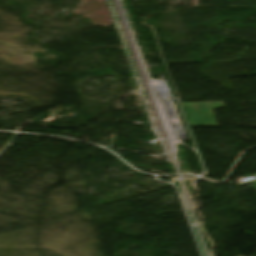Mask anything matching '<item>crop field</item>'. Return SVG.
Masks as SVG:
<instances>
[{
  "instance_id": "8a807250",
  "label": "crop field",
  "mask_w": 256,
  "mask_h": 256,
  "mask_svg": "<svg viewBox=\"0 0 256 256\" xmlns=\"http://www.w3.org/2000/svg\"><path fill=\"white\" fill-rule=\"evenodd\" d=\"M191 125L218 126L209 103L182 104ZM212 108L224 106L223 102L211 103Z\"/></svg>"
}]
</instances>
